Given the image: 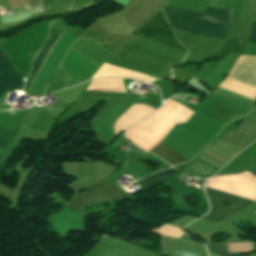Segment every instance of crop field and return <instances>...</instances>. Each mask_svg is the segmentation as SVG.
I'll return each mask as SVG.
<instances>
[{"label": "crop field", "instance_id": "crop-field-8", "mask_svg": "<svg viewBox=\"0 0 256 256\" xmlns=\"http://www.w3.org/2000/svg\"><path fill=\"white\" fill-rule=\"evenodd\" d=\"M216 170L196 159L181 172L197 176H210Z\"/></svg>", "mask_w": 256, "mask_h": 256}, {"label": "crop field", "instance_id": "crop-field-10", "mask_svg": "<svg viewBox=\"0 0 256 256\" xmlns=\"http://www.w3.org/2000/svg\"><path fill=\"white\" fill-rule=\"evenodd\" d=\"M151 232H155L161 235H167V236H173L179 238L182 236L184 233L179 230L176 227L170 226L165 224L163 227L159 228L158 230H152Z\"/></svg>", "mask_w": 256, "mask_h": 256}, {"label": "crop field", "instance_id": "crop-field-7", "mask_svg": "<svg viewBox=\"0 0 256 256\" xmlns=\"http://www.w3.org/2000/svg\"><path fill=\"white\" fill-rule=\"evenodd\" d=\"M150 152L160 156L161 158H163L165 161H167L172 166L177 163H184V162L188 161L187 159L183 158L175 151L171 150L170 148H168L160 143Z\"/></svg>", "mask_w": 256, "mask_h": 256}, {"label": "crop field", "instance_id": "crop-field-4", "mask_svg": "<svg viewBox=\"0 0 256 256\" xmlns=\"http://www.w3.org/2000/svg\"><path fill=\"white\" fill-rule=\"evenodd\" d=\"M85 191H87L100 201L120 198L127 194V192L117 188L106 178ZM85 191L72 199L67 205L78 211H81L82 207H85L91 203L99 202L97 199H95Z\"/></svg>", "mask_w": 256, "mask_h": 256}, {"label": "crop field", "instance_id": "crop-field-15", "mask_svg": "<svg viewBox=\"0 0 256 256\" xmlns=\"http://www.w3.org/2000/svg\"><path fill=\"white\" fill-rule=\"evenodd\" d=\"M225 90V89H224Z\"/></svg>", "mask_w": 256, "mask_h": 256}, {"label": "crop field", "instance_id": "crop-field-12", "mask_svg": "<svg viewBox=\"0 0 256 256\" xmlns=\"http://www.w3.org/2000/svg\"><path fill=\"white\" fill-rule=\"evenodd\" d=\"M208 249L216 254L221 256H240L241 254H226L225 243L222 244H213L211 243ZM214 254V255H216ZM218 256V255H217Z\"/></svg>", "mask_w": 256, "mask_h": 256}, {"label": "crop field", "instance_id": "crop-field-14", "mask_svg": "<svg viewBox=\"0 0 256 256\" xmlns=\"http://www.w3.org/2000/svg\"><path fill=\"white\" fill-rule=\"evenodd\" d=\"M249 42L256 43V24L252 23V30Z\"/></svg>", "mask_w": 256, "mask_h": 256}, {"label": "crop field", "instance_id": "crop-field-1", "mask_svg": "<svg viewBox=\"0 0 256 256\" xmlns=\"http://www.w3.org/2000/svg\"><path fill=\"white\" fill-rule=\"evenodd\" d=\"M164 13L170 25L179 30L224 40L232 11L207 7L201 14L164 7Z\"/></svg>", "mask_w": 256, "mask_h": 256}, {"label": "crop field", "instance_id": "crop-field-3", "mask_svg": "<svg viewBox=\"0 0 256 256\" xmlns=\"http://www.w3.org/2000/svg\"><path fill=\"white\" fill-rule=\"evenodd\" d=\"M134 32L186 53V50L177 42L174 32L166 22L162 9Z\"/></svg>", "mask_w": 256, "mask_h": 256}, {"label": "crop field", "instance_id": "crop-field-9", "mask_svg": "<svg viewBox=\"0 0 256 256\" xmlns=\"http://www.w3.org/2000/svg\"><path fill=\"white\" fill-rule=\"evenodd\" d=\"M174 170L167 169L160 171L158 173H155L153 176L149 177L148 179L144 180L142 183H140L143 187L146 189L157 182L163 180L164 178L168 177Z\"/></svg>", "mask_w": 256, "mask_h": 256}, {"label": "crop field", "instance_id": "crop-field-2", "mask_svg": "<svg viewBox=\"0 0 256 256\" xmlns=\"http://www.w3.org/2000/svg\"><path fill=\"white\" fill-rule=\"evenodd\" d=\"M205 190L208 195L211 210L208 215L203 217V219L210 220L216 223H219L224 218L249 207L253 203L247 199L224 194L211 188L206 187ZM224 200L231 202L233 206L231 208L225 207L222 203L224 202Z\"/></svg>", "mask_w": 256, "mask_h": 256}, {"label": "crop field", "instance_id": "crop-field-13", "mask_svg": "<svg viewBox=\"0 0 256 256\" xmlns=\"http://www.w3.org/2000/svg\"><path fill=\"white\" fill-rule=\"evenodd\" d=\"M10 132H11V129L0 127V151L2 150Z\"/></svg>", "mask_w": 256, "mask_h": 256}, {"label": "crop field", "instance_id": "crop-field-11", "mask_svg": "<svg viewBox=\"0 0 256 256\" xmlns=\"http://www.w3.org/2000/svg\"><path fill=\"white\" fill-rule=\"evenodd\" d=\"M228 253L253 251L252 243L227 244Z\"/></svg>", "mask_w": 256, "mask_h": 256}, {"label": "crop field", "instance_id": "crop-field-5", "mask_svg": "<svg viewBox=\"0 0 256 256\" xmlns=\"http://www.w3.org/2000/svg\"><path fill=\"white\" fill-rule=\"evenodd\" d=\"M24 83L0 49V96L7 87L13 90H21Z\"/></svg>", "mask_w": 256, "mask_h": 256}, {"label": "crop field", "instance_id": "crop-field-6", "mask_svg": "<svg viewBox=\"0 0 256 256\" xmlns=\"http://www.w3.org/2000/svg\"><path fill=\"white\" fill-rule=\"evenodd\" d=\"M60 32L51 30L49 34V39L47 43L42 47L41 51L36 55L33 61V69L25 83L24 91L27 92L29 86L31 85L33 79L35 78L37 72L39 71L41 65L43 64L44 60L46 59L48 53L50 52L52 46L54 45L56 39L58 38Z\"/></svg>", "mask_w": 256, "mask_h": 256}]
</instances>
